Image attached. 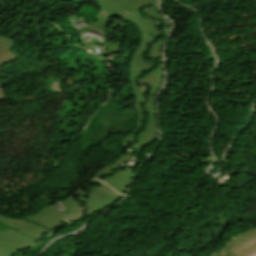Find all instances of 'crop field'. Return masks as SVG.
Wrapping results in <instances>:
<instances>
[{
    "mask_svg": "<svg viewBox=\"0 0 256 256\" xmlns=\"http://www.w3.org/2000/svg\"><path fill=\"white\" fill-rule=\"evenodd\" d=\"M145 14L147 16H154L162 21V24L158 25V27L165 32V36L161 40L151 43L149 45V51L145 54V57L149 61H157V68L139 79V82L145 83L148 86V98L145 101V108L148 113L149 119L146 128L143 130V132L139 134L138 141L135 142L130 148L138 150L140 154L142 153L143 148L147 147L148 145L157 140L158 130L155 98L163 82V68L161 65V58L157 53L161 51L163 42L167 36L168 31V25L166 23V20L157 13L156 5L146 7Z\"/></svg>",
    "mask_w": 256,
    "mask_h": 256,
    "instance_id": "obj_3",
    "label": "crop field"
},
{
    "mask_svg": "<svg viewBox=\"0 0 256 256\" xmlns=\"http://www.w3.org/2000/svg\"><path fill=\"white\" fill-rule=\"evenodd\" d=\"M135 169L127 168L104 180L100 185L94 186L89 195L83 199L88 208L84 212L89 217L117 202L126 193Z\"/></svg>",
    "mask_w": 256,
    "mask_h": 256,
    "instance_id": "obj_4",
    "label": "crop field"
},
{
    "mask_svg": "<svg viewBox=\"0 0 256 256\" xmlns=\"http://www.w3.org/2000/svg\"><path fill=\"white\" fill-rule=\"evenodd\" d=\"M97 180L87 183L65 202V208L57 210L56 206L44 208L22 220H11L0 216V256H13L14 253L34 243L40 238V232L55 227L60 218L71 221L82 218V203L76 198L80 191Z\"/></svg>",
    "mask_w": 256,
    "mask_h": 256,
    "instance_id": "obj_2",
    "label": "crop field"
},
{
    "mask_svg": "<svg viewBox=\"0 0 256 256\" xmlns=\"http://www.w3.org/2000/svg\"><path fill=\"white\" fill-rule=\"evenodd\" d=\"M213 256H233L230 253H228L227 251H225L224 249L216 254H214Z\"/></svg>",
    "mask_w": 256,
    "mask_h": 256,
    "instance_id": "obj_7",
    "label": "crop field"
},
{
    "mask_svg": "<svg viewBox=\"0 0 256 256\" xmlns=\"http://www.w3.org/2000/svg\"><path fill=\"white\" fill-rule=\"evenodd\" d=\"M252 256H256V254L252 255Z\"/></svg>",
    "mask_w": 256,
    "mask_h": 256,
    "instance_id": "obj_10",
    "label": "crop field"
},
{
    "mask_svg": "<svg viewBox=\"0 0 256 256\" xmlns=\"http://www.w3.org/2000/svg\"><path fill=\"white\" fill-rule=\"evenodd\" d=\"M64 1L76 2V3H84V2H88V1H92V0H64Z\"/></svg>",
    "mask_w": 256,
    "mask_h": 256,
    "instance_id": "obj_9",
    "label": "crop field"
},
{
    "mask_svg": "<svg viewBox=\"0 0 256 256\" xmlns=\"http://www.w3.org/2000/svg\"><path fill=\"white\" fill-rule=\"evenodd\" d=\"M0 44L4 45L2 48L0 47V66L17 59L16 55L9 49L15 44L14 40L0 36Z\"/></svg>",
    "mask_w": 256,
    "mask_h": 256,
    "instance_id": "obj_6",
    "label": "crop field"
},
{
    "mask_svg": "<svg viewBox=\"0 0 256 256\" xmlns=\"http://www.w3.org/2000/svg\"><path fill=\"white\" fill-rule=\"evenodd\" d=\"M224 249L234 256H250L255 253L256 229L235 238Z\"/></svg>",
    "mask_w": 256,
    "mask_h": 256,
    "instance_id": "obj_5",
    "label": "crop field"
},
{
    "mask_svg": "<svg viewBox=\"0 0 256 256\" xmlns=\"http://www.w3.org/2000/svg\"><path fill=\"white\" fill-rule=\"evenodd\" d=\"M8 98V95L5 93V91L0 86V100Z\"/></svg>",
    "mask_w": 256,
    "mask_h": 256,
    "instance_id": "obj_8",
    "label": "crop field"
},
{
    "mask_svg": "<svg viewBox=\"0 0 256 256\" xmlns=\"http://www.w3.org/2000/svg\"><path fill=\"white\" fill-rule=\"evenodd\" d=\"M98 2L103 11L108 16H116L130 21L140 31L141 34L139 46L134 52V55L131 59L129 72V80L133 89L140 120L137 128L133 132L125 136L123 143L124 153L121 158L100 170L99 173L96 175V178L100 179L105 175L118 170V165L120 161L130 160L126 155L129 152L124 149V145L133 142L138 131L141 129L142 126H144L146 118L144 108L142 106V100L145 96V92L142 89L143 86L137 84L135 82V79L149 69L153 68L154 64H148L141 56L147 49L148 42L156 40L162 34L154 30V21L143 18L141 14L140 9L143 6L152 3L151 0H98Z\"/></svg>",
    "mask_w": 256,
    "mask_h": 256,
    "instance_id": "obj_1",
    "label": "crop field"
}]
</instances>
